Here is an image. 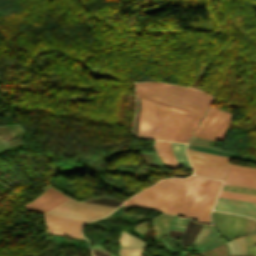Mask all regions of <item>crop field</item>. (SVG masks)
I'll return each mask as SVG.
<instances>
[{
	"label": "crop field",
	"instance_id": "obj_1",
	"mask_svg": "<svg viewBox=\"0 0 256 256\" xmlns=\"http://www.w3.org/2000/svg\"><path fill=\"white\" fill-rule=\"evenodd\" d=\"M135 86L136 95L139 98L187 111L185 116L193 120L182 140L185 143L213 99L189 87L156 82L135 83Z\"/></svg>",
	"mask_w": 256,
	"mask_h": 256
},
{
	"label": "crop field",
	"instance_id": "obj_2",
	"mask_svg": "<svg viewBox=\"0 0 256 256\" xmlns=\"http://www.w3.org/2000/svg\"><path fill=\"white\" fill-rule=\"evenodd\" d=\"M190 177L161 180L131 197L124 204L177 214Z\"/></svg>",
	"mask_w": 256,
	"mask_h": 256
},
{
	"label": "crop field",
	"instance_id": "obj_3",
	"mask_svg": "<svg viewBox=\"0 0 256 256\" xmlns=\"http://www.w3.org/2000/svg\"><path fill=\"white\" fill-rule=\"evenodd\" d=\"M221 183L192 176L178 214L198 218L201 222H210L209 213Z\"/></svg>",
	"mask_w": 256,
	"mask_h": 256
},
{
	"label": "crop field",
	"instance_id": "obj_4",
	"mask_svg": "<svg viewBox=\"0 0 256 256\" xmlns=\"http://www.w3.org/2000/svg\"><path fill=\"white\" fill-rule=\"evenodd\" d=\"M169 107L141 99L139 137L162 139Z\"/></svg>",
	"mask_w": 256,
	"mask_h": 256
},
{
	"label": "crop field",
	"instance_id": "obj_5",
	"mask_svg": "<svg viewBox=\"0 0 256 256\" xmlns=\"http://www.w3.org/2000/svg\"><path fill=\"white\" fill-rule=\"evenodd\" d=\"M232 114L210 106L197 130L195 137L223 142L232 120Z\"/></svg>",
	"mask_w": 256,
	"mask_h": 256
},
{
	"label": "crop field",
	"instance_id": "obj_6",
	"mask_svg": "<svg viewBox=\"0 0 256 256\" xmlns=\"http://www.w3.org/2000/svg\"><path fill=\"white\" fill-rule=\"evenodd\" d=\"M114 209L112 207L82 203L70 198L45 214L91 221L109 214Z\"/></svg>",
	"mask_w": 256,
	"mask_h": 256
},
{
	"label": "crop field",
	"instance_id": "obj_7",
	"mask_svg": "<svg viewBox=\"0 0 256 256\" xmlns=\"http://www.w3.org/2000/svg\"><path fill=\"white\" fill-rule=\"evenodd\" d=\"M187 151L195 174L223 180L231 158L189 149Z\"/></svg>",
	"mask_w": 256,
	"mask_h": 256
},
{
	"label": "crop field",
	"instance_id": "obj_8",
	"mask_svg": "<svg viewBox=\"0 0 256 256\" xmlns=\"http://www.w3.org/2000/svg\"><path fill=\"white\" fill-rule=\"evenodd\" d=\"M228 216H229V214H226V213L212 211V220H213L214 226L223 235L225 234ZM243 218L244 217H242V216L230 214L225 238H227L229 240L231 238L239 236ZM247 219L248 218L245 217L240 236H242L244 234ZM253 222H254L253 219H250V218L248 219V223H247V227H246L244 235L251 233ZM252 233H256V220L254 222V227H253Z\"/></svg>",
	"mask_w": 256,
	"mask_h": 256
},
{
	"label": "crop field",
	"instance_id": "obj_9",
	"mask_svg": "<svg viewBox=\"0 0 256 256\" xmlns=\"http://www.w3.org/2000/svg\"><path fill=\"white\" fill-rule=\"evenodd\" d=\"M44 215L48 234L68 236L86 240L81 235V226L87 221Z\"/></svg>",
	"mask_w": 256,
	"mask_h": 256
},
{
	"label": "crop field",
	"instance_id": "obj_10",
	"mask_svg": "<svg viewBox=\"0 0 256 256\" xmlns=\"http://www.w3.org/2000/svg\"><path fill=\"white\" fill-rule=\"evenodd\" d=\"M223 183L256 188V169L230 165Z\"/></svg>",
	"mask_w": 256,
	"mask_h": 256
},
{
	"label": "crop field",
	"instance_id": "obj_11",
	"mask_svg": "<svg viewBox=\"0 0 256 256\" xmlns=\"http://www.w3.org/2000/svg\"><path fill=\"white\" fill-rule=\"evenodd\" d=\"M68 198H70V197H68V196L62 194L61 192L52 188V189L44 192L42 195H40L34 201H32L24 206L27 209L43 213Z\"/></svg>",
	"mask_w": 256,
	"mask_h": 256
},
{
	"label": "crop field",
	"instance_id": "obj_12",
	"mask_svg": "<svg viewBox=\"0 0 256 256\" xmlns=\"http://www.w3.org/2000/svg\"><path fill=\"white\" fill-rule=\"evenodd\" d=\"M214 209L256 218V203L254 202L219 197Z\"/></svg>",
	"mask_w": 256,
	"mask_h": 256
},
{
	"label": "crop field",
	"instance_id": "obj_13",
	"mask_svg": "<svg viewBox=\"0 0 256 256\" xmlns=\"http://www.w3.org/2000/svg\"><path fill=\"white\" fill-rule=\"evenodd\" d=\"M118 242L120 245L119 256L141 255V252L145 251V249L148 247V245L143 243L138 238L123 231Z\"/></svg>",
	"mask_w": 256,
	"mask_h": 256
},
{
	"label": "crop field",
	"instance_id": "obj_14",
	"mask_svg": "<svg viewBox=\"0 0 256 256\" xmlns=\"http://www.w3.org/2000/svg\"><path fill=\"white\" fill-rule=\"evenodd\" d=\"M186 112L170 109L169 117L167 120L166 128L164 131L163 139L162 140H171L173 141L177 131L180 127V124L184 118Z\"/></svg>",
	"mask_w": 256,
	"mask_h": 256
},
{
	"label": "crop field",
	"instance_id": "obj_15",
	"mask_svg": "<svg viewBox=\"0 0 256 256\" xmlns=\"http://www.w3.org/2000/svg\"><path fill=\"white\" fill-rule=\"evenodd\" d=\"M154 148L166 167H178L170 142L155 141Z\"/></svg>",
	"mask_w": 256,
	"mask_h": 256
},
{
	"label": "crop field",
	"instance_id": "obj_16",
	"mask_svg": "<svg viewBox=\"0 0 256 256\" xmlns=\"http://www.w3.org/2000/svg\"><path fill=\"white\" fill-rule=\"evenodd\" d=\"M171 145L179 166L191 169L185 154V144L171 142Z\"/></svg>",
	"mask_w": 256,
	"mask_h": 256
},
{
	"label": "crop field",
	"instance_id": "obj_17",
	"mask_svg": "<svg viewBox=\"0 0 256 256\" xmlns=\"http://www.w3.org/2000/svg\"><path fill=\"white\" fill-rule=\"evenodd\" d=\"M229 254H246L245 242L243 237H238L228 242Z\"/></svg>",
	"mask_w": 256,
	"mask_h": 256
},
{
	"label": "crop field",
	"instance_id": "obj_18",
	"mask_svg": "<svg viewBox=\"0 0 256 256\" xmlns=\"http://www.w3.org/2000/svg\"><path fill=\"white\" fill-rule=\"evenodd\" d=\"M160 217L162 219V222H163L164 228L166 230V233H168L170 224H171L172 219H173L174 216L167 215V214H161ZM160 217L159 216L155 217V220H156L157 226L159 228L160 235L162 236V235H165L166 233L164 231V228H163Z\"/></svg>",
	"mask_w": 256,
	"mask_h": 256
},
{
	"label": "crop field",
	"instance_id": "obj_19",
	"mask_svg": "<svg viewBox=\"0 0 256 256\" xmlns=\"http://www.w3.org/2000/svg\"><path fill=\"white\" fill-rule=\"evenodd\" d=\"M221 190L256 195V189L232 186V185H226V184L222 185Z\"/></svg>",
	"mask_w": 256,
	"mask_h": 256
},
{
	"label": "crop field",
	"instance_id": "obj_20",
	"mask_svg": "<svg viewBox=\"0 0 256 256\" xmlns=\"http://www.w3.org/2000/svg\"><path fill=\"white\" fill-rule=\"evenodd\" d=\"M201 256H226L227 255V249L226 245L223 244L217 248L211 249L209 251L200 253Z\"/></svg>",
	"mask_w": 256,
	"mask_h": 256
},
{
	"label": "crop field",
	"instance_id": "obj_21",
	"mask_svg": "<svg viewBox=\"0 0 256 256\" xmlns=\"http://www.w3.org/2000/svg\"><path fill=\"white\" fill-rule=\"evenodd\" d=\"M190 121H191L190 118H186V117L184 118V120H183V122L181 124V127H180V129L178 131V134H177V136H176L174 141L180 142V140H181L185 130L187 129Z\"/></svg>",
	"mask_w": 256,
	"mask_h": 256
},
{
	"label": "crop field",
	"instance_id": "obj_22",
	"mask_svg": "<svg viewBox=\"0 0 256 256\" xmlns=\"http://www.w3.org/2000/svg\"><path fill=\"white\" fill-rule=\"evenodd\" d=\"M211 226H212V225H209V227H208V225H203V227L200 229V231L198 232L196 238L194 239V241H193V243H192L193 246H196V245H197V243H198L200 237L202 236V234L205 232L206 228L208 227V229L206 230V232H205L204 235L202 236L200 242L205 238V236H206V234L208 233V231L210 230ZM200 242H199V243H200ZM197 246H198V245H197ZM197 246H196V247H197Z\"/></svg>",
	"mask_w": 256,
	"mask_h": 256
},
{
	"label": "crop field",
	"instance_id": "obj_23",
	"mask_svg": "<svg viewBox=\"0 0 256 256\" xmlns=\"http://www.w3.org/2000/svg\"><path fill=\"white\" fill-rule=\"evenodd\" d=\"M14 126L18 130V132L21 134V136H25V133L21 125H14ZM14 126H8L7 129L10 131V133L13 135L14 138L20 137V134L17 132Z\"/></svg>",
	"mask_w": 256,
	"mask_h": 256
},
{
	"label": "crop field",
	"instance_id": "obj_24",
	"mask_svg": "<svg viewBox=\"0 0 256 256\" xmlns=\"http://www.w3.org/2000/svg\"><path fill=\"white\" fill-rule=\"evenodd\" d=\"M147 222H144V223H141V224L137 225L135 227V229L138 230L139 232H141L142 234H145ZM153 227H154V230H155L157 238H159L160 236H159V233H158L157 226H156L154 218H153Z\"/></svg>",
	"mask_w": 256,
	"mask_h": 256
},
{
	"label": "crop field",
	"instance_id": "obj_25",
	"mask_svg": "<svg viewBox=\"0 0 256 256\" xmlns=\"http://www.w3.org/2000/svg\"><path fill=\"white\" fill-rule=\"evenodd\" d=\"M220 194L256 200V196L221 191Z\"/></svg>",
	"mask_w": 256,
	"mask_h": 256
},
{
	"label": "crop field",
	"instance_id": "obj_26",
	"mask_svg": "<svg viewBox=\"0 0 256 256\" xmlns=\"http://www.w3.org/2000/svg\"><path fill=\"white\" fill-rule=\"evenodd\" d=\"M178 218H179V217L175 216L171 225L176 226V225H177ZM186 221H187V218L180 217L177 226L184 228V227H185V224H186Z\"/></svg>",
	"mask_w": 256,
	"mask_h": 256
},
{
	"label": "crop field",
	"instance_id": "obj_27",
	"mask_svg": "<svg viewBox=\"0 0 256 256\" xmlns=\"http://www.w3.org/2000/svg\"><path fill=\"white\" fill-rule=\"evenodd\" d=\"M169 246H170V248L172 249V251H168L169 252V254H171V253H175V252H177L176 251V249L172 246V242L170 243V239L167 237V236H163V237H161ZM174 244V243H173ZM175 245V244H174ZM175 247H176V245H175Z\"/></svg>",
	"mask_w": 256,
	"mask_h": 256
},
{
	"label": "crop field",
	"instance_id": "obj_28",
	"mask_svg": "<svg viewBox=\"0 0 256 256\" xmlns=\"http://www.w3.org/2000/svg\"><path fill=\"white\" fill-rule=\"evenodd\" d=\"M8 150V147L6 146V144L4 143L1 135H0V152L6 151Z\"/></svg>",
	"mask_w": 256,
	"mask_h": 256
},
{
	"label": "crop field",
	"instance_id": "obj_29",
	"mask_svg": "<svg viewBox=\"0 0 256 256\" xmlns=\"http://www.w3.org/2000/svg\"><path fill=\"white\" fill-rule=\"evenodd\" d=\"M219 196H222V195H219ZM222 197H228V196H222ZM228 198H234V197H228ZM235 199H241V198H235ZM241 200H247V199H241ZM248 201H254V200H248ZM256 202V201H254Z\"/></svg>",
	"mask_w": 256,
	"mask_h": 256
},
{
	"label": "crop field",
	"instance_id": "obj_30",
	"mask_svg": "<svg viewBox=\"0 0 256 256\" xmlns=\"http://www.w3.org/2000/svg\"><path fill=\"white\" fill-rule=\"evenodd\" d=\"M230 256H240V255H230ZM244 256H254V255H244Z\"/></svg>",
	"mask_w": 256,
	"mask_h": 256
}]
</instances>
